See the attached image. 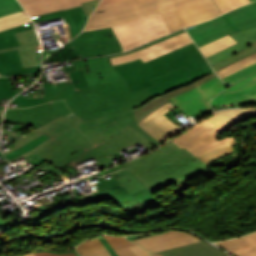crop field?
Instances as JSON below:
<instances>
[{
    "instance_id": "028f5c9d",
    "label": "crop field",
    "mask_w": 256,
    "mask_h": 256,
    "mask_svg": "<svg viewBox=\"0 0 256 256\" xmlns=\"http://www.w3.org/2000/svg\"><path fill=\"white\" fill-rule=\"evenodd\" d=\"M31 22L25 11L0 18V31Z\"/></svg>"
},
{
    "instance_id": "0f1d7ab4",
    "label": "crop field",
    "mask_w": 256,
    "mask_h": 256,
    "mask_svg": "<svg viewBox=\"0 0 256 256\" xmlns=\"http://www.w3.org/2000/svg\"><path fill=\"white\" fill-rule=\"evenodd\" d=\"M1 225H4V223H3V221L0 219V226H1Z\"/></svg>"
},
{
    "instance_id": "0fb4a251",
    "label": "crop field",
    "mask_w": 256,
    "mask_h": 256,
    "mask_svg": "<svg viewBox=\"0 0 256 256\" xmlns=\"http://www.w3.org/2000/svg\"><path fill=\"white\" fill-rule=\"evenodd\" d=\"M2 133L9 134V135H11L13 137H19V136L23 135V134H20L18 132H10V131H4V130H3Z\"/></svg>"
},
{
    "instance_id": "d32e631a",
    "label": "crop field",
    "mask_w": 256,
    "mask_h": 256,
    "mask_svg": "<svg viewBox=\"0 0 256 256\" xmlns=\"http://www.w3.org/2000/svg\"><path fill=\"white\" fill-rule=\"evenodd\" d=\"M109 244L113 247L118 256H136L128 247L135 245L134 243L124 239L123 237L104 236Z\"/></svg>"
},
{
    "instance_id": "ade564c9",
    "label": "crop field",
    "mask_w": 256,
    "mask_h": 256,
    "mask_svg": "<svg viewBox=\"0 0 256 256\" xmlns=\"http://www.w3.org/2000/svg\"><path fill=\"white\" fill-rule=\"evenodd\" d=\"M251 1H253V0H251Z\"/></svg>"
},
{
    "instance_id": "5866460e",
    "label": "crop field",
    "mask_w": 256,
    "mask_h": 256,
    "mask_svg": "<svg viewBox=\"0 0 256 256\" xmlns=\"http://www.w3.org/2000/svg\"><path fill=\"white\" fill-rule=\"evenodd\" d=\"M235 143H236L235 140H231V141H229L215 149H212L208 152H205L197 157L200 158L202 161H204L207 164L225 154L233 153L234 150L231 145H233Z\"/></svg>"
},
{
    "instance_id": "e1d0b9f6",
    "label": "crop field",
    "mask_w": 256,
    "mask_h": 256,
    "mask_svg": "<svg viewBox=\"0 0 256 256\" xmlns=\"http://www.w3.org/2000/svg\"><path fill=\"white\" fill-rule=\"evenodd\" d=\"M154 254V256H163V255H160V254H156V253H153Z\"/></svg>"
},
{
    "instance_id": "c035e120",
    "label": "crop field",
    "mask_w": 256,
    "mask_h": 256,
    "mask_svg": "<svg viewBox=\"0 0 256 256\" xmlns=\"http://www.w3.org/2000/svg\"><path fill=\"white\" fill-rule=\"evenodd\" d=\"M254 52H256V43L254 45H252L251 47L243 50L242 52H240V53H238V54H236V55H234V56H232V57H230V58H228V59H226V60H224V61H222L218 64L213 65L212 67L216 71V70H218V69H220L224 66H227V65H229V64H231V63H233V62H235V61H237L241 58H244V57H246V56H248V55H250Z\"/></svg>"
},
{
    "instance_id": "3316defc",
    "label": "crop field",
    "mask_w": 256,
    "mask_h": 256,
    "mask_svg": "<svg viewBox=\"0 0 256 256\" xmlns=\"http://www.w3.org/2000/svg\"><path fill=\"white\" fill-rule=\"evenodd\" d=\"M32 28L33 23L31 22L0 32V49L18 46L19 43L14 33ZM40 71L41 67L22 68L18 49L0 52V72L3 76L37 73Z\"/></svg>"
},
{
    "instance_id": "c21b1889",
    "label": "crop field",
    "mask_w": 256,
    "mask_h": 256,
    "mask_svg": "<svg viewBox=\"0 0 256 256\" xmlns=\"http://www.w3.org/2000/svg\"><path fill=\"white\" fill-rule=\"evenodd\" d=\"M254 72H256V63L253 65H250L232 75H229V76L223 78V80L227 85H231V84L247 77L248 75H250Z\"/></svg>"
},
{
    "instance_id": "4177f3b9",
    "label": "crop field",
    "mask_w": 256,
    "mask_h": 256,
    "mask_svg": "<svg viewBox=\"0 0 256 256\" xmlns=\"http://www.w3.org/2000/svg\"><path fill=\"white\" fill-rule=\"evenodd\" d=\"M164 256H227L228 254L202 241L188 246L177 247L162 252Z\"/></svg>"
},
{
    "instance_id": "5142ce71",
    "label": "crop field",
    "mask_w": 256,
    "mask_h": 256,
    "mask_svg": "<svg viewBox=\"0 0 256 256\" xmlns=\"http://www.w3.org/2000/svg\"><path fill=\"white\" fill-rule=\"evenodd\" d=\"M164 232L165 233L163 234L149 236L133 241L142 245L151 252L162 251L169 248L202 241L201 239L183 231L164 230Z\"/></svg>"
},
{
    "instance_id": "e1f06a70",
    "label": "crop field",
    "mask_w": 256,
    "mask_h": 256,
    "mask_svg": "<svg viewBox=\"0 0 256 256\" xmlns=\"http://www.w3.org/2000/svg\"><path fill=\"white\" fill-rule=\"evenodd\" d=\"M68 121H70V120H69V119H66V120H64V121H62V122H60V123H58V124L52 126L51 128H49V129L43 131V132H39V131H37V130L35 129V130H33V131H31V132L25 134L24 136L15 139V147L10 148V150L4 152V155L7 154V153H9V152H11L12 150H14V149H16V148L22 146V145H24L25 143H27V142L33 140L34 138H36V137H38V136H40V135H42V134H44V133L48 134V133H50V132L56 130L57 128H59L60 126L64 125V124L67 123Z\"/></svg>"
},
{
    "instance_id": "28ad6ade",
    "label": "crop field",
    "mask_w": 256,
    "mask_h": 256,
    "mask_svg": "<svg viewBox=\"0 0 256 256\" xmlns=\"http://www.w3.org/2000/svg\"><path fill=\"white\" fill-rule=\"evenodd\" d=\"M256 103V73L227 88L211 100L213 108Z\"/></svg>"
},
{
    "instance_id": "c39391a2",
    "label": "crop field",
    "mask_w": 256,
    "mask_h": 256,
    "mask_svg": "<svg viewBox=\"0 0 256 256\" xmlns=\"http://www.w3.org/2000/svg\"><path fill=\"white\" fill-rule=\"evenodd\" d=\"M0 76H1V74H0Z\"/></svg>"
},
{
    "instance_id": "ae1a2a85",
    "label": "crop field",
    "mask_w": 256,
    "mask_h": 256,
    "mask_svg": "<svg viewBox=\"0 0 256 256\" xmlns=\"http://www.w3.org/2000/svg\"><path fill=\"white\" fill-rule=\"evenodd\" d=\"M226 14L240 31L256 26V2L231 10Z\"/></svg>"
},
{
    "instance_id": "03da06ac",
    "label": "crop field",
    "mask_w": 256,
    "mask_h": 256,
    "mask_svg": "<svg viewBox=\"0 0 256 256\" xmlns=\"http://www.w3.org/2000/svg\"><path fill=\"white\" fill-rule=\"evenodd\" d=\"M23 11L16 0H0V17Z\"/></svg>"
},
{
    "instance_id": "d1516ede",
    "label": "crop field",
    "mask_w": 256,
    "mask_h": 256,
    "mask_svg": "<svg viewBox=\"0 0 256 256\" xmlns=\"http://www.w3.org/2000/svg\"><path fill=\"white\" fill-rule=\"evenodd\" d=\"M198 47L239 30L226 14L186 29Z\"/></svg>"
},
{
    "instance_id": "89e229c0",
    "label": "crop field",
    "mask_w": 256,
    "mask_h": 256,
    "mask_svg": "<svg viewBox=\"0 0 256 256\" xmlns=\"http://www.w3.org/2000/svg\"><path fill=\"white\" fill-rule=\"evenodd\" d=\"M34 255L35 256H75V254L73 253L56 255V254L45 253V252L35 253Z\"/></svg>"
},
{
    "instance_id": "120bbe31",
    "label": "crop field",
    "mask_w": 256,
    "mask_h": 256,
    "mask_svg": "<svg viewBox=\"0 0 256 256\" xmlns=\"http://www.w3.org/2000/svg\"><path fill=\"white\" fill-rule=\"evenodd\" d=\"M237 43L234 39H232L229 35L220 38L216 41H213L209 44H206L199 49L205 55V57L217 53L233 44Z\"/></svg>"
},
{
    "instance_id": "b54c1fbb",
    "label": "crop field",
    "mask_w": 256,
    "mask_h": 256,
    "mask_svg": "<svg viewBox=\"0 0 256 256\" xmlns=\"http://www.w3.org/2000/svg\"><path fill=\"white\" fill-rule=\"evenodd\" d=\"M20 91H13L9 77H0V99L10 98Z\"/></svg>"
},
{
    "instance_id": "eef30255",
    "label": "crop field",
    "mask_w": 256,
    "mask_h": 256,
    "mask_svg": "<svg viewBox=\"0 0 256 256\" xmlns=\"http://www.w3.org/2000/svg\"><path fill=\"white\" fill-rule=\"evenodd\" d=\"M216 244L237 256H256V233Z\"/></svg>"
},
{
    "instance_id": "447ae74e",
    "label": "crop field",
    "mask_w": 256,
    "mask_h": 256,
    "mask_svg": "<svg viewBox=\"0 0 256 256\" xmlns=\"http://www.w3.org/2000/svg\"><path fill=\"white\" fill-rule=\"evenodd\" d=\"M37 252H39V251H37ZM46 252L55 253V252H52V251H46ZM72 252H74L77 256H80L76 251H72ZM33 253H35V252H33ZM65 253H71V252H65ZM56 254H60V253H56Z\"/></svg>"
},
{
    "instance_id": "f4fd0767",
    "label": "crop field",
    "mask_w": 256,
    "mask_h": 256,
    "mask_svg": "<svg viewBox=\"0 0 256 256\" xmlns=\"http://www.w3.org/2000/svg\"><path fill=\"white\" fill-rule=\"evenodd\" d=\"M63 67L68 81L51 83L44 76L45 102L74 98L71 89L122 79L110 64L108 56L71 61Z\"/></svg>"
},
{
    "instance_id": "ac0d7876",
    "label": "crop field",
    "mask_w": 256,
    "mask_h": 256,
    "mask_svg": "<svg viewBox=\"0 0 256 256\" xmlns=\"http://www.w3.org/2000/svg\"><path fill=\"white\" fill-rule=\"evenodd\" d=\"M72 91L75 99L66 101L68 107L77 116L70 118L72 119L70 122L49 134L51 138L46 142L21 155L23 158L33 154L53 138L62 141L69 136L75 139L80 136H84L80 129L75 126L84 119H94L111 113H120L132 110L153 98L147 89L132 92L124 80L74 89ZM52 104L54 113L61 114L63 116L39 128L38 130L40 131H43L66 119L64 116L71 112L65 105L64 101H56L52 102Z\"/></svg>"
},
{
    "instance_id": "92a150f3",
    "label": "crop field",
    "mask_w": 256,
    "mask_h": 256,
    "mask_svg": "<svg viewBox=\"0 0 256 256\" xmlns=\"http://www.w3.org/2000/svg\"><path fill=\"white\" fill-rule=\"evenodd\" d=\"M138 142L149 150L154 147L146 139L128 126L123 129L121 134L108 141L98 144V146L107 156H109Z\"/></svg>"
},
{
    "instance_id": "73cf0c24",
    "label": "crop field",
    "mask_w": 256,
    "mask_h": 256,
    "mask_svg": "<svg viewBox=\"0 0 256 256\" xmlns=\"http://www.w3.org/2000/svg\"><path fill=\"white\" fill-rule=\"evenodd\" d=\"M130 249L138 256H153L151 253L147 252L146 250L142 249L137 245L130 247Z\"/></svg>"
},
{
    "instance_id": "730fd06b",
    "label": "crop field",
    "mask_w": 256,
    "mask_h": 256,
    "mask_svg": "<svg viewBox=\"0 0 256 256\" xmlns=\"http://www.w3.org/2000/svg\"><path fill=\"white\" fill-rule=\"evenodd\" d=\"M250 117H256V108L222 110L205 119L215 126L224 122L227 127H230Z\"/></svg>"
},
{
    "instance_id": "cbeb9de0",
    "label": "crop field",
    "mask_w": 256,
    "mask_h": 256,
    "mask_svg": "<svg viewBox=\"0 0 256 256\" xmlns=\"http://www.w3.org/2000/svg\"><path fill=\"white\" fill-rule=\"evenodd\" d=\"M173 108L174 106L168 103L138 124L161 143L182 130L164 115Z\"/></svg>"
},
{
    "instance_id": "dafd665d",
    "label": "crop field",
    "mask_w": 256,
    "mask_h": 256,
    "mask_svg": "<svg viewBox=\"0 0 256 256\" xmlns=\"http://www.w3.org/2000/svg\"><path fill=\"white\" fill-rule=\"evenodd\" d=\"M215 77H217V75H216L215 72H213V73H211V74L193 82L190 85H187V86L181 87L179 89H176V90L170 91L168 93H165L164 95L156 97V98L152 99L151 101L145 103L143 106L134 109L137 123L139 121H141L143 118H145L146 116H148L150 113L155 111L157 108L166 104L168 99H170V98H172V97H174L178 94H181V93H183V92H185L189 89H192V88H194V87H196V86H198V85H200V84H202V83H204V82H206L210 79H213Z\"/></svg>"
},
{
    "instance_id": "a9b5d70f",
    "label": "crop field",
    "mask_w": 256,
    "mask_h": 256,
    "mask_svg": "<svg viewBox=\"0 0 256 256\" xmlns=\"http://www.w3.org/2000/svg\"><path fill=\"white\" fill-rule=\"evenodd\" d=\"M230 36L238 43L217 54L207 57V60L211 65L218 63L254 44L256 42V27L231 34Z\"/></svg>"
},
{
    "instance_id": "00972430",
    "label": "crop field",
    "mask_w": 256,
    "mask_h": 256,
    "mask_svg": "<svg viewBox=\"0 0 256 256\" xmlns=\"http://www.w3.org/2000/svg\"><path fill=\"white\" fill-rule=\"evenodd\" d=\"M29 15L36 16L60 9H69L81 5L87 0H19Z\"/></svg>"
},
{
    "instance_id": "8a807250",
    "label": "crop field",
    "mask_w": 256,
    "mask_h": 256,
    "mask_svg": "<svg viewBox=\"0 0 256 256\" xmlns=\"http://www.w3.org/2000/svg\"><path fill=\"white\" fill-rule=\"evenodd\" d=\"M126 169L131 174L117 180L115 177L105 181L102 177L98 178V192L87 196L82 193L86 201L82 202L76 196L72 198L76 202L73 204L62 206L58 203L48 208L42 205L37 207L42 212L34 216L40 219L69 205L103 202L107 199L120 208L140 201L149 210L163 204L152 192L173 182L180 185L210 167L186 149H180L170 141Z\"/></svg>"
},
{
    "instance_id": "22f410ed",
    "label": "crop field",
    "mask_w": 256,
    "mask_h": 256,
    "mask_svg": "<svg viewBox=\"0 0 256 256\" xmlns=\"http://www.w3.org/2000/svg\"><path fill=\"white\" fill-rule=\"evenodd\" d=\"M211 72L213 71L210 68L209 64L192 72H190L189 68L185 69L184 67H182L166 75L152 79L156 86L148 88V90L154 97H156L162 95L167 91L187 85ZM188 76L191 77L187 78Z\"/></svg>"
},
{
    "instance_id": "1d83c4d3",
    "label": "crop field",
    "mask_w": 256,
    "mask_h": 256,
    "mask_svg": "<svg viewBox=\"0 0 256 256\" xmlns=\"http://www.w3.org/2000/svg\"><path fill=\"white\" fill-rule=\"evenodd\" d=\"M115 123L120 125L122 128L129 125L139 134L145 137L154 146L160 144L154 138H152L145 130H143L138 124H136L134 111L125 112Z\"/></svg>"
},
{
    "instance_id": "bc2a9ffb",
    "label": "crop field",
    "mask_w": 256,
    "mask_h": 256,
    "mask_svg": "<svg viewBox=\"0 0 256 256\" xmlns=\"http://www.w3.org/2000/svg\"><path fill=\"white\" fill-rule=\"evenodd\" d=\"M21 46L0 51L19 48L23 67L41 66L40 44L35 29L16 34Z\"/></svg>"
},
{
    "instance_id": "5d738f31",
    "label": "crop field",
    "mask_w": 256,
    "mask_h": 256,
    "mask_svg": "<svg viewBox=\"0 0 256 256\" xmlns=\"http://www.w3.org/2000/svg\"><path fill=\"white\" fill-rule=\"evenodd\" d=\"M217 4V6L220 8L222 13L235 8L237 6H240L245 3H249V0H214Z\"/></svg>"
},
{
    "instance_id": "78b8030e",
    "label": "crop field",
    "mask_w": 256,
    "mask_h": 256,
    "mask_svg": "<svg viewBox=\"0 0 256 256\" xmlns=\"http://www.w3.org/2000/svg\"><path fill=\"white\" fill-rule=\"evenodd\" d=\"M22 256H34L32 253L30 254H26V255H22Z\"/></svg>"
},
{
    "instance_id": "dbb93151",
    "label": "crop field",
    "mask_w": 256,
    "mask_h": 256,
    "mask_svg": "<svg viewBox=\"0 0 256 256\" xmlns=\"http://www.w3.org/2000/svg\"><path fill=\"white\" fill-rule=\"evenodd\" d=\"M127 174H129V172L126 169L113 173V175L117 178L127 175Z\"/></svg>"
},
{
    "instance_id": "bd1437ed",
    "label": "crop field",
    "mask_w": 256,
    "mask_h": 256,
    "mask_svg": "<svg viewBox=\"0 0 256 256\" xmlns=\"http://www.w3.org/2000/svg\"><path fill=\"white\" fill-rule=\"evenodd\" d=\"M77 251L81 256H111L99 238L78 245Z\"/></svg>"
},
{
    "instance_id": "dd49c442",
    "label": "crop field",
    "mask_w": 256,
    "mask_h": 256,
    "mask_svg": "<svg viewBox=\"0 0 256 256\" xmlns=\"http://www.w3.org/2000/svg\"><path fill=\"white\" fill-rule=\"evenodd\" d=\"M35 153L58 169L68 165L74 170L77 164L92 158L97 161L95 164L101 169L114 165L98 146H94L86 136L76 140L70 137L60 143L53 139Z\"/></svg>"
},
{
    "instance_id": "db79e9e6",
    "label": "crop field",
    "mask_w": 256,
    "mask_h": 256,
    "mask_svg": "<svg viewBox=\"0 0 256 256\" xmlns=\"http://www.w3.org/2000/svg\"><path fill=\"white\" fill-rule=\"evenodd\" d=\"M255 105H256V104H255ZM243 106H247V105H243ZM229 107H234V106H229ZM229 107H220V108H216L215 110L221 109V108H229Z\"/></svg>"
},
{
    "instance_id": "9d1cf04e",
    "label": "crop field",
    "mask_w": 256,
    "mask_h": 256,
    "mask_svg": "<svg viewBox=\"0 0 256 256\" xmlns=\"http://www.w3.org/2000/svg\"><path fill=\"white\" fill-rule=\"evenodd\" d=\"M115 1H120V0H102L101 4H105V3H110V2H115Z\"/></svg>"
},
{
    "instance_id": "0bd39190",
    "label": "crop field",
    "mask_w": 256,
    "mask_h": 256,
    "mask_svg": "<svg viewBox=\"0 0 256 256\" xmlns=\"http://www.w3.org/2000/svg\"><path fill=\"white\" fill-rule=\"evenodd\" d=\"M255 62H256V53H254V54H252V55H250V56H248L244 59H241V60H239V61H237V62H235V63H233V64H231L227 67H224V68H222V69H220L216 72L219 75V77L223 78V77H225V76H227V75H229V74H231V73H233V72H235V71H237V70H239L243 67H246L250 64H253Z\"/></svg>"
},
{
    "instance_id": "4a817a6b",
    "label": "crop field",
    "mask_w": 256,
    "mask_h": 256,
    "mask_svg": "<svg viewBox=\"0 0 256 256\" xmlns=\"http://www.w3.org/2000/svg\"><path fill=\"white\" fill-rule=\"evenodd\" d=\"M60 117L53 114L51 102L22 109H7L4 122H29L36 129Z\"/></svg>"
},
{
    "instance_id": "5a996713",
    "label": "crop field",
    "mask_w": 256,
    "mask_h": 256,
    "mask_svg": "<svg viewBox=\"0 0 256 256\" xmlns=\"http://www.w3.org/2000/svg\"><path fill=\"white\" fill-rule=\"evenodd\" d=\"M123 51L169 34L161 15H155L136 22L113 27Z\"/></svg>"
},
{
    "instance_id": "ae633e8c",
    "label": "crop field",
    "mask_w": 256,
    "mask_h": 256,
    "mask_svg": "<svg viewBox=\"0 0 256 256\" xmlns=\"http://www.w3.org/2000/svg\"><path fill=\"white\" fill-rule=\"evenodd\" d=\"M5 228V227H4ZM3 228L0 229V231L2 230Z\"/></svg>"
},
{
    "instance_id": "412701ff",
    "label": "crop field",
    "mask_w": 256,
    "mask_h": 256,
    "mask_svg": "<svg viewBox=\"0 0 256 256\" xmlns=\"http://www.w3.org/2000/svg\"><path fill=\"white\" fill-rule=\"evenodd\" d=\"M207 64L194 43L144 63L141 59L116 65L114 68L132 91L154 86L150 79L184 66L191 71Z\"/></svg>"
},
{
    "instance_id": "1f2cbd36",
    "label": "crop field",
    "mask_w": 256,
    "mask_h": 256,
    "mask_svg": "<svg viewBox=\"0 0 256 256\" xmlns=\"http://www.w3.org/2000/svg\"><path fill=\"white\" fill-rule=\"evenodd\" d=\"M101 241L103 242V244L106 246V248L108 249V251L112 254V256H117V254L114 252V250L112 249V247L108 244V242L104 239V237L100 238Z\"/></svg>"
},
{
    "instance_id": "0765c3eb",
    "label": "crop field",
    "mask_w": 256,
    "mask_h": 256,
    "mask_svg": "<svg viewBox=\"0 0 256 256\" xmlns=\"http://www.w3.org/2000/svg\"><path fill=\"white\" fill-rule=\"evenodd\" d=\"M57 50H51V52H56ZM46 54V52H43L42 53V59H43V57H44V55Z\"/></svg>"
},
{
    "instance_id": "b80d0937",
    "label": "crop field",
    "mask_w": 256,
    "mask_h": 256,
    "mask_svg": "<svg viewBox=\"0 0 256 256\" xmlns=\"http://www.w3.org/2000/svg\"><path fill=\"white\" fill-rule=\"evenodd\" d=\"M48 138H50V137L48 135L44 134V135L34 139L33 141L25 144L24 146L16 149L15 151H13V152L5 155V156H6L7 160L12 159L14 157H17V156L23 154L24 152H26V151H28V150H30V149L40 145L41 143H43Z\"/></svg>"
},
{
    "instance_id": "7b73153f",
    "label": "crop field",
    "mask_w": 256,
    "mask_h": 256,
    "mask_svg": "<svg viewBox=\"0 0 256 256\" xmlns=\"http://www.w3.org/2000/svg\"><path fill=\"white\" fill-rule=\"evenodd\" d=\"M4 110V109H3ZM3 110H0V118H2Z\"/></svg>"
},
{
    "instance_id": "d9b57169",
    "label": "crop field",
    "mask_w": 256,
    "mask_h": 256,
    "mask_svg": "<svg viewBox=\"0 0 256 256\" xmlns=\"http://www.w3.org/2000/svg\"><path fill=\"white\" fill-rule=\"evenodd\" d=\"M190 43H192L191 38L189 37L187 32H184L180 35H177L173 38H170L161 43L145 48L143 50L137 51L133 54L112 58L110 60L112 65L139 59V58H141L144 62H146L150 59H153L157 56H160L162 54H165L169 51H172L174 49H177L179 47H182Z\"/></svg>"
},
{
    "instance_id": "d8731c3e",
    "label": "crop field",
    "mask_w": 256,
    "mask_h": 256,
    "mask_svg": "<svg viewBox=\"0 0 256 256\" xmlns=\"http://www.w3.org/2000/svg\"><path fill=\"white\" fill-rule=\"evenodd\" d=\"M226 130H228V128L224 123L215 127L204 119L171 141L181 148H186L197 156L231 139H235L234 136H230L218 140L221 133Z\"/></svg>"
},
{
    "instance_id": "733c2abd",
    "label": "crop field",
    "mask_w": 256,
    "mask_h": 256,
    "mask_svg": "<svg viewBox=\"0 0 256 256\" xmlns=\"http://www.w3.org/2000/svg\"><path fill=\"white\" fill-rule=\"evenodd\" d=\"M112 114L102 118L82 121L77 126L81 131L91 140L95 145L102 141H105L119 133H121L122 128L115 124L114 122L122 115ZM117 130V131H115Z\"/></svg>"
},
{
    "instance_id": "d3111659",
    "label": "crop field",
    "mask_w": 256,
    "mask_h": 256,
    "mask_svg": "<svg viewBox=\"0 0 256 256\" xmlns=\"http://www.w3.org/2000/svg\"><path fill=\"white\" fill-rule=\"evenodd\" d=\"M226 87L227 86L222 82V80L219 77H217L192 89V91L210 112L212 111V108L208 101Z\"/></svg>"
},
{
    "instance_id": "34b2d1b8",
    "label": "crop field",
    "mask_w": 256,
    "mask_h": 256,
    "mask_svg": "<svg viewBox=\"0 0 256 256\" xmlns=\"http://www.w3.org/2000/svg\"><path fill=\"white\" fill-rule=\"evenodd\" d=\"M159 13L170 32L221 14L212 0H125L98 6L84 31L113 27Z\"/></svg>"
},
{
    "instance_id": "d23c7cc5",
    "label": "crop field",
    "mask_w": 256,
    "mask_h": 256,
    "mask_svg": "<svg viewBox=\"0 0 256 256\" xmlns=\"http://www.w3.org/2000/svg\"><path fill=\"white\" fill-rule=\"evenodd\" d=\"M184 31H185V30L177 31V32L172 33V34H170V35H168V36H165V37H163V38H160V39H157V40H155V41H152V42H150V43H148V44H146V45H142V46H140V47H138V48H136V49H134V50H131V51H128V52H125V53H121V54L110 55L109 57L112 58V57H116V56H120V55H125V54H129V53H133V52H135V51H137V50H140V49H142V48H145V47H148V46H150V45H153V44H156V43H158V42H161V41H163V40H165V39H168V38H170V37H173V36H175V35H177V34H180V33L184 32Z\"/></svg>"
},
{
    "instance_id": "e52e79f7",
    "label": "crop field",
    "mask_w": 256,
    "mask_h": 256,
    "mask_svg": "<svg viewBox=\"0 0 256 256\" xmlns=\"http://www.w3.org/2000/svg\"><path fill=\"white\" fill-rule=\"evenodd\" d=\"M121 51V45L112 29H100L82 32L47 62L52 61V63H55L75 58L115 54Z\"/></svg>"
},
{
    "instance_id": "d14b1444",
    "label": "crop field",
    "mask_w": 256,
    "mask_h": 256,
    "mask_svg": "<svg viewBox=\"0 0 256 256\" xmlns=\"http://www.w3.org/2000/svg\"><path fill=\"white\" fill-rule=\"evenodd\" d=\"M0 109H2V107H0Z\"/></svg>"
},
{
    "instance_id": "750c4746",
    "label": "crop field",
    "mask_w": 256,
    "mask_h": 256,
    "mask_svg": "<svg viewBox=\"0 0 256 256\" xmlns=\"http://www.w3.org/2000/svg\"><path fill=\"white\" fill-rule=\"evenodd\" d=\"M170 101L181 109L187 116L205 108L191 90L170 99Z\"/></svg>"
},
{
    "instance_id": "214f88e0",
    "label": "crop field",
    "mask_w": 256,
    "mask_h": 256,
    "mask_svg": "<svg viewBox=\"0 0 256 256\" xmlns=\"http://www.w3.org/2000/svg\"><path fill=\"white\" fill-rule=\"evenodd\" d=\"M60 16H63L66 23L68 24V26H64L66 29L65 32L67 34L66 36L68 38V41L82 31V28L85 26L88 18L82 6H80V7L72 8L65 11L61 10V11L33 17L32 20L36 22V21L46 20V19L60 17ZM64 44L65 43H63V45Z\"/></svg>"
},
{
    "instance_id": "425ffa30",
    "label": "crop field",
    "mask_w": 256,
    "mask_h": 256,
    "mask_svg": "<svg viewBox=\"0 0 256 256\" xmlns=\"http://www.w3.org/2000/svg\"><path fill=\"white\" fill-rule=\"evenodd\" d=\"M100 0H91L81 3L87 15L89 16Z\"/></svg>"
},
{
    "instance_id": "1d79db26",
    "label": "crop field",
    "mask_w": 256,
    "mask_h": 256,
    "mask_svg": "<svg viewBox=\"0 0 256 256\" xmlns=\"http://www.w3.org/2000/svg\"><path fill=\"white\" fill-rule=\"evenodd\" d=\"M149 235H152V234H145V235H140V236H129L126 238L132 240V239H137V238H141V237H145V236H149Z\"/></svg>"
},
{
    "instance_id": "25e5ab78",
    "label": "crop field",
    "mask_w": 256,
    "mask_h": 256,
    "mask_svg": "<svg viewBox=\"0 0 256 256\" xmlns=\"http://www.w3.org/2000/svg\"><path fill=\"white\" fill-rule=\"evenodd\" d=\"M142 157H144V156H142ZM142 157H140V158H142ZM140 158H137V159H135V160H133V161H129V162H127V163H125V164H122V165H119V166H117V167L111 168V169H109V170H107V171H105V172H102V173L98 174V175L91 176V178L96 177V176H100V175H105V174H108V173H110V172H112V171H117V170H119V169H123L124 167L130 165L131 163H133V162H135V161H137V160H139Z\"/></svg>"
}]
</instances>
